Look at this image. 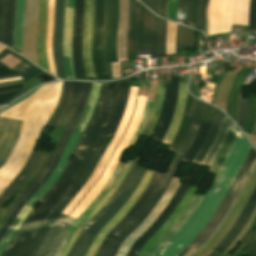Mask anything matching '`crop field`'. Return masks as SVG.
I'll use <instances>...</instances> for the list:
<instances>
[{"instance_id":"obj_3","label":"crop field","mask_w":256,"mask_h":256,"mask_svg":"<svg viewBox=\"0 0 256 256\" xmlns=\"http://www.w3.org/2000/svg\"><path fill=\"white\" fill-rule=\"evenodd\" d=\"M166 21L157 18L136 0L129 1L127 57L136 50H150V57L165 55Z\"/></svg>"},{"instance_id":"obj_49","label":"crop field","mask_w":256,"mask_h":256,"mask_svg":"<svg viewBox=\"0 0 256 256\" xmlns=\"http://www.w3.org/2000/svg\"><path fill=\"white\" fill-rule=\"evenodd\" d=\"M4 11H5V0H2V3H1V16H0V42H2V37H3Z\"/></svg>"},{"instance_id":"obj_40","label":"crop field","mask_w":256,"mask_h":256,"mask_svg":"<svg viewBox=\"0 0 256 256\" xmlns=\"http://www.w3.org/2000/svg\"><path fill=\"white\" fill-rule=\"evenodd\" d=\"M195 31L178 25L175 52L194 47Z\"/></svg>"},{"instance_id":"obj_59","label":"crop field","mask_w":256,"mask_h":256,"mask_svg":"<svg viewBox=\"0 0 256 256\" xmlns=\"http://www.w3.org/2000/svg\"><path fill=\"white\" fill-rule=\"evenodd\" d=\"M17 76H20V75L19 74H15V75L2 76V77H0V79H2V78H9V77H17Z\"/></svg>"},{"instance_id":"obj_38","label":"crop field","mask_w":256,"mask_h":256,"mask_svg":"<svg viewBox=\"0 0 256 256\" xmlns=\"http://www.w3.org/2000/svg\"><path fill=\"white\" fill-rule=\"evenodd\" d=\"M71 83L72 82H63L59 102L56 106L54 113L52 114L46 125L55 127L57 121L59 120L61 114L63 113L66 107Z\"/></svg>"},{"instance_id":"obj_57","label":"crop field","mask_w":256,"mask_h":256,"mask_svg":"<svg viewBox=\"0 0 256 256\" xmlns=\"http://www.w3.org/2000/svg\"><path fill=\"white\" fill-rule=\"evenodd\" d=\"M21 86H23V83L12 85V86H7V87H2V88H0V91L7 90V89H12V88H17V87H21Z\"/></svg>"},{"instance_id":"obj_64","label":"crop field","mask_w":256,"mask_h":256,"mask_svg":"<svg viewBox=\"0 0 256 256\" xmlns=\"http://www.w3.org/2000/svg\"><path fill=\"white\" fill-rule=\"evenodd\" d=\"M4 64L0 63V66H3Z\"/></svg>"},{"instance_id":"obj_58","label":"crop field","mask_w":256,"mask_h":256,"mask_svg":"<svg viewBox=\"0 0 256 256\" xmlns=\"http://www.w3.org/2000/svg\"><path fill=\"white\" fill-rule=\"evenodd\" d=\"M187 0H178L177 7L186 8Z\"/></svg>"},{"instance_id":"obj_47","label":"crop field","mask_w":256,"mask_h":256,"mask_svg":"<svg viewBox=\"0 0 256 256\" xmlns=\"http://www.w3.org/2000/svg\"><path fill=\"white\" fill-rule=\"evenodd\" d=\"M247 103H248V100L240 99L237 123L242 127V129L244 127V123L246 120Z\"/></svg>"},{"instance_id":"obj_50","label":"crop field","mask_w":256,"mask_h":256,"mask_svg":"<svg viewBox=\"0 0 256 256\" xmlns=\"http://www.w3.org/2000/svg\"><path fill=\"white\" fill-rule=\"evenodd\" d=\"M8 53L12 54L14 57H16V58H18V59H20V60H22V61H24V62H26V63L29 62L28 60L22 58L21 56L17 55L16 53H14V52H12V51L6 49V48L0 53V60H1L3 57H5ZM12 55H11V56H12ZM26 63H25V64H26Z\"/></svg>"},{"instance_id":"obj_21","label":"crop field","mask_w":256,"mask_h":256,"mask_svg":"<svg viewBox=\"0 0 256 256\" xmlns=\"http://www.w3.org/2000/svg\"><path fill=\"white\" fill-rule=\"evenodd\" d=\"M48 0H39V14L36 36V53L39 66L48 69L47 58L45 54V34H46V13Z\"/></svg>"},{"instance_id":"obj_51","label":"crop field","mask_w":256,"mask_h":256,"mask_svg":"<svg viewBox=\"0 0 256 256\" xmlns=\"http://www.w3.org/2000/svg\"><path fill=\"white\" fill-rule=\"evenodd\" d=\"M168 86H169V83H167L166 94H165V97H164V102H163L162 109H161V111H160V117H159L158 123H157L156 127L154 128V130L152 131V133H151L150 136H152V135L155 133V131L157 130V128H158V126H159V123H160V120H161V118H162V116H163L164 105H165V103H166V98H167Z\"/></svg>"},{"instance_id":"obj_53","label":"crop field","mask_w":256,"mask_h":256,"mask_svg":"<svg viewBox=\"0 0 256 256\" xmlns=\"http://www.w3.org/2000/svg\"><path fill=\"white\" fill-rule=\"evenodd\" d=\"M19 91H14V92H10V93L0 95V104L3 103L4 101H6L7 99H9L10 97L14 96Z\"/></svg>"},{"instance_id":"obj_56","label":"crop field","mask_w":256,"mask_h":256,"mask_svg":"<svg viewBox=\"0 0 256 256\" xmlns=\"http://www.w3.org/2000/svg\"><path fill=\"white\" fill-rule=\"evenodd\" d=\"M8 74H15L12 70L7 67L0 68V76L1 75H8Z\"/></svg>"},{"instance_id":"obj_44","label":"crop field","mask_w":256,"mask_h":256,"mask_svg":"<svg viewBox=\"0 0 256 256\" xmlns=\"http://www.w3.org/2000/svg\"><path fill=\"white\" fill-rule=\"evenodd\" d=\"M207 0H198L197 1V7H196V27H199L201 29L204 28V12L206 8ZM190 15H191V0H188L187 4V17H186V23L189 24L190 22Z\"/></svg>"},{"instance_id":"obj_7","label":"crop field","mask_w":256,"mask_h":256,"mask_svg":"<svg viewBox=\"0 0 256 256\" xmlns=\"http://www.w3.org/2000/svg\"><path fill=\"white\" fill-rule=\"evenodd\" d=\"M256 162V151L251 148L249 151L245 161L243 162L238 174L236 175L226 197L222 201L220 207L216 211L213 218L208 222V224L203 228L200 234L195 238V240L185 248L179 256H183V254L191 248H198L202 244H204L208 238L213 234L216 230L224 216L226 215L227 211L231 207L234 199L236 198L237 194L239 193L241 187L243 186L244 182L246 181L249 173L251 172L254 164Z\"/></svg>"},{"instance_id":"obj_48","label":"crop field","mask_w":256,"mask_h":256,"mask_svg":"<svg viewBox=\"0 0 256 256\" xmlns=\"http://www.w3.org/2000/svg\"><path fill=\"white\" fill-rule=\"evenodd\" d=\"M248 29H256V0H251Z\"/></svg>"},{"instance_id":"obj_24","label":"crop field","mask_w":256,"mask_h":256,"mask_svg":"<svg viewBox=\"0 0 256 256\" xmlns=\"http://www.w3.org/2000/svg\"><path fill=\"white\" fill-rule=\"evenodd\" d=\"M177 85H178V76H172L170 87H169L168 98H167V104L165 106L164 116L154 136V139L160 142L165 134L167 127L170 124V121L173 115L174 106H175L176 97H177V91H178Z\"/></svg>"},{"instance_id":"obj_5","label":"crop field","mask_w":256,"mask_h":256,"mask_svg":"<svg viewBox=\"0 0 256 256\" xmlns=\"http://www.w3.org/2000/svg\"><path fill=\"white\" fill-rule=\"evenodd\" d=\"M91 88V83H82L79 100L77 107L68 123L66 128L64 129L56 148L54 149L52 155L50 156L45 168L43 169L40 176L32 183V185L23 193L20 199L17 201L9 215L7 216L6 220L3 223L2 228L0 229V241L3 239L7 229L11 225L14 218L17 216L19 211L21 210L22 206L28 201V199L34 194V192L41 186V184L47 179V177L51 174L52 170L54 169L55 165L57 164L58 160L60 159L62 152L64 150L65 144L70 137L71 133L73 132L80 115L84 109L86 101L89 96Z\"/></svg>"},{"instance_id":"obj_28","label":"crop field","mask_w":256,"mask_h":256,"mask_svg":"<svg viewBox=\"0 0 256 256\" xmlns=\"http://www.w3.org/2000/svg\"><path fill=\"white\" fill-rule=\"evenodd\" d=\"M256 176V167L252 173V175L250 176L246 186L244 187L242 193L240 194L239 198L237 199L234 207L232 208V210L230 211V213L228 214V216L225 218V220L223 221V223L221 224V226L218 228V230L213 234V236L210 238V240L208 241V243L206 245H204L201 249H199L197 252H195L193 255L191 256H201L202 254H204L209 248L210 246L215 242V240L220 236V234L224 231V229L228 226L230 220L232 219L233 215L235 214L237 208L239 207L240 203L242 202L243 198L245 197V195L247 194L254 178Z\"/></svg>"},{"instance_id":"obj_30","label":"crop field","mask_w":256,"mask_h":256,"mask_svg":"<svg viewBox=\"0 0 256 256\" xmlns=\"http://www.w3.org/2000/svg\"><path fill=\"white\" fill-rule=\"evenodd\" d=\"M49 158V155L42 153L39 161L37 162L36 166L34 167V169L32 170V172L30 173V175L27 177V179L20 184L16 190L20 191L18 193V195L15 197V199L12 201V203L9 205V207L7 209L5 208H1L0 210V227L4 221V219L6 218V216L8 215V213L10 212V210L12 209V207L14 206V204L16 203V201L18 200V198L21 196V194L29 187V185L39 176L40 172L42 171L47 159ZM32 185V184H31ZM30 185V186H31Z\"/></svg>"},{"instance_id":"obj_9","label":"crop field","mask_w":256,"mask_h":256,"mask_svg":"<svg viewBox=\"0 0 256 256\" xmlns=\"http://www.w3.org/2000/svg\"><path fill=\"white\" fill-rule=\"evenodd\" d=\"M165 174L155 172L150 183L146 187L144 193L135 203L132 209L126 214V216L113 228V230L105 237L104 241L100 245L95 256H105L112 241L126 228V226L134 219V217L141 211L155 189L160 184Z\"/></svg>"},{"instance_id":"obj_2","label":"crop field","mask_w":256,"mask_h":256,"mask_svg":"<svg viewBox=\"0 0 256 256\" xmlns=\"http://www.w3.org/2000/svg\"><path fill=\"white\" fill-rule=\"evenodd\" d=\"M250 147V144L238 131L236 139L209 191L200 202L194 214L162 248L157 256H178L207 224L223 200Z\"/></svg>"},{"instance_id":"obj_4","label":"crop field","mask_w":256,"mask_h":256,"mask_svg":"<svg viewBox=\"0 0 256 256\" xmlns=\"http://www.w3.org/2000/svg\"><path fill=\"white\" fill-rule=\"evenodd\" d=\"M205 103L198 100L196 109L194 112L193 119L190 124L189 132L182 142L167 174L165 175L164 179L162 180L159 187L154 192L153 196L146 204V206L142 209V211L135 217V219L127 226V228L113 241L108 253L106 256H115L120 244L142 223L145 217L149 214L155 204L163 195L165 189L167 188L168 184L172 180L183 156L185 155L189 145L191 144L192 140L194 139L199 125L202 120L203 112L205 109ZM191 146V145H190Z\"/></svg>"},{"instance_id":"obj_42","label":"crop field","mask_w":256,"mask_h":256,"mask_svg":"<svg viewBox=\"0 0 256 256\" xmlns=\"http://www.w3.org/2000/svg\"><path fill=\"white\" fill-rule=\"evenodd\" d=\"M80 85H81V83L73 82L69 100L67 103V107H66L63 115L61 116L60 120L58 121L59 124L66 125V123L68 122V120L77 104Z\"/></svg>"},{"instance_id":"obj_45","label":"crop field","mask_w":256,"mask_h":256,"mask_svg":"<svg viewBox=\"0 0 256 256\" xmlns=\"http://www.w3.org/2000/svg\"><path fill=\"white\" fill-rule=\"evenodd\" d=\"M157 14L166 17L167 0H141Z\"/></svg>"},{"instance_id":"obj_6","label":"crop field","mask_w":256,"mask_h":256,"mask_svg":"<svg viewBox=\"0 0 256 256\" xmlns=\"http://www.w3.org/2000/svg\"><path fill=\"white\" fill-rule=\"evenodd\" d=\"M250 0H210L207 35L231 31V24L248 25Z\"/></svg>"},{"instance_id":"obj_8","label":"crop field","mask_w":256,"mask_h":256,"mask_svg":"<svg viewBox=\"0 0 256 256\" xmlns=\"http://www.w3.org/2000/svg\"><path fill=\"white\" fill-rule=\"evenodd\" d=\"M137 97H138V94H137ZM137 97H136V101H137ZM136 101H135V104H136ZM135 104H134V108H135ZM134 108H133V112H134ZM133 112H132V115H131V119H132V116H133ZM131 119H130V121H131ZM122 136H121V138H122ZM121 138H120V140H121ZM120 140H119V142H120ZM119 142H118V144H119ZM118 144H117V146H118ZM117 146H116V148H117ZM102 173H101V175H102ZM100 176H99V178H100ZM99 178H98V180H99ZM96 182L94 183V185L96 184ZM93 186L83 196V198L77 203V205L72 209V211H74L75 208L82 202V200L90 192V190L93 188ZM70 213L69 214L61 213L59 215V217L56 219L55 223L49 229L48 233L46 234L45 238L43 239L42 243L40 244L39 248L37 249V251L35 252V254L33 256H53L55 250L57 249L59 243L61 242L63 236L65 235L67 229L72 224V222L79 217V216H75V215H70Z\"/></svg>"},{"instance_id":"obj_36","label":"crop field","mask_w":256,"mask_h":256,"mask_svg":"<svg viewBox=\"0 0 256 256\" xmlns=\"http://www.w3.org/2000/svg\"><path fill=\"white\" fill-rule=\"evenodd\" d=\"M24 0H16L13 46L21 50L23 31Z\"/></svg>"},{"instance_id":"obj_17","label":"crop field","mask_w":256,"mask_h":256,"mask_svg":"<svg viewBox=\"0 0 256 256\" xmlns=\"http://www.w3.org/2000/svg\"><path fill=\"white\" fill-rule=\"evenodd\" d=\"M63 8L64 0H56L53 32V55L57 76L65 78V71L62 63Z\"/></svg>"},{"instance_id":"obj_34","label":"crop field","mask_w":256,"mask_h":256,"mask_svg":"<svg viewBox=\"0 0 256 256\" xmlns=\"http://www.w3.org/2000/svg\"><path fill=\"white\" fill-rule=\"evenodd\" d=\"M223 116H224V114L221 111L217 110L214 121H213L210 131L208 133V136L205 139L204 143L202 144L201 148L199 149L195 159L193 160L194 163L200 164L204 155L210 149L211 143L217 133L219 124H220Z\"/></svg>"},{"instance_id":"obj_61","label":"crop field","mask_w":256,"mask_h":256,"mask_svg":"<svg viewBox=\"0 0 256 256\" xmlns=\"http://www.w3.org/2000/svg\"><path fill=\"white\" fill-rule=\"evenodd\" d=\"M252 134L256 135V120H255V124H254V128H253Z\"/></svg>"},{"instance_id":"obj_26","label":"crop field","mask_w":256,"mask_h":256,"mask_svg":"<svg viewBox=\"0 0 256 256\" xmlns=\"http://www.w3.org/2000/svg\"><path fill=\"white\" fill-rule=\"evenodd\" d=\"M196 101H197V99H195L194 97H192L191 95L188 94V99L186 102L185 111H184L182 121L180 123L179 129H178L172 143L168 147V150L177 152L181 142L183 141L184 137L186 136V134L188 132L189 124H190V121L193 116Z\"/></svg>"},{"instance_id":"obj_63","label":"crop field","mask_w":256,"mask_h":256,"mask_svg":"<svg viewBox=\"0 0 256 256\" xmlns=\"http://www.w3.org/2000/svg\"><path fill=\"white\" fill-rule=\"evenodd\" d=\"M20 83V82H19ZM13 84H16V83H13ZM7 85H12V84H7ZM7 85H1L0 87H2V86H7Z\"/></svg>"},{"instance_id":"obj_16","label":"crop field","mask_w":256,"mask_h":256,"mask_svg":"<svg viewBox=\"0 0 256 256\" xmlns=\"http://www.w3.org/2000/svg\"><path fill=\"white\" fill-rule=\"evenodd\" d=\"M103 26V0H95V16L92 35V55L95 76H104L101 59V36Z\"/></svg>"},{"instance_id":"obj_60","label":"crop field","mask_w":256,"mask_h":256,"mask_svg":"<svg viewBox=\"0 0 256 256\" xmlns=\"http://www.w3.org/2000/svg\"><path fill=\"white\" fill-rule=\"evenodd\" d=\"M18 79H21V78L18 77V78H12V79H4V80H0V82L11 81V80H18Z\"/></svg>"},{"instance_id":"obj_22","label":"crop field","mask_w":256,"mask_h":256,"mask_svg":"<svg viewBox=\"0 0 256 256\" xmlns=\"http://www.w3.org/2000/svg\"><path fill=\"white\" fill-rule=\"evenodd\" d=\"M203 195H194L190 205L185 210V212L180 216V218L174 223V225L167 231V233L155 244V246L150 250L147 256H156L161 248L169 241V239L178 231V229L183 225V223L193 214L195 208L201 201Z\"/></svg>"},{"instance_id":"obj_13","label":"crop field","mask_w":256,"mask_h":256,"mask_svg":"<svg viewBox=\"0 0 256 256\" xmlns=\"http://www.w3.org/2000/svg\"><path fill=\"white\" fill-rule=\"evenodd\" d=\"M188 185L180 184L178 190L166 205L161 214L153 222V224L133 243L126 256H136L144 242L163 224L167 217L172 213L178 205L180 199L188 189Z\"/></svg>"},{"instance_id":"obj_43","label":"crop field","mask_w":256,"mask_h":256,"mask_svg":"<svg viewBox=\"0 0 256 256\" xmlns=\"http://www.w3.org/2000/svg\"><path fill=\"white\" fill-rule=\"evenodd\" d=\"M107 19H108V0H104V28H103V36H102V58H103L105 76L112 77L111 65H110V62H108L106 57Z\"/></svg>"},{"instance_id":"obj_11","label":"crop field","mask_w":256,"mask_h":256,"mask_svg":"<svg viewBox=\"0 0 256 256\" xmlns=\"http://www.w3.org/2000/svg\"><path fill=\"white\" fill-rule=\"evenodd\" d=\"M153 171L146 170L144 176L142 177L139 184L136 186L134 192L129 197V199L126 201V203L123 205V207L113 216V218L105 224L96 238L91 243L87 253L85 256H94L96 253L99 245L101 244L104 236L125 216V214L131 209V207L134 205V203L137 201V199L142 194L144 188L148 184L149 180L153 176Z\"/></svg>"},{"instance_id":"obj_55","label":"crop field","mask_w":256,"mask_h":256,"mask_svg":"<svg viewBox=\"0 0 256 256\" xmlns=\"http://www.w3.org/2000/svg\"><path fill=\"white\" fill-rule=\"evenodd\" d=\"M19 89H23L21 92H19L17 95H15L14 97H12L11 99L7 100L5 103L3 104H6L8 102H10L11 100H13L14 98H16L17 96H19L20 94H22L24 91H26L27 89L25 87H22V88H18V89H14V90H19ZM9 91H13V90H7V91H3V92H0L1 93H5V92H9ZM2 104V105H3Z\"/></svg>"},{"instance_id":"obj_41","label":"crop field","mask_w":256,"mask_h":256,"mask_svg":"<svg viewBox=\"0 0 256 256\" xmlns=\"http://www.w3.org/2000/svg\"><path fill=\"white\" fill-rule=\"evenodd\" d=\"M15 0H6V16L3 43L12 47Z\"/></svg>"},{"instance_id":"obj_62","label":"crop field","mask_w":256,"mask_h":256,"mask_svg":"<svg viewBox=\"0 0 256 256\" xmlns=\"http://www.w3.org/2000/svg\"><path fill=\"white\" fill-rule=\"evenodd\" d=\"M19 81H22V80L0 83V85H1V84H7V83H13V82H19Z\"/></svg>"},{"instance_id":"obj_10","label":"crop field","mask_w":256,"mask_h":256,"mask_svg":"<svg viewBox=\"0 0 256 256\" xmlns=\"http://www.w3.org/2000/svg\"><path fill=\"white\" fill-rule=\"evenodd\" d=\"M144 170V167L138 166L126 188L123 190L115 203L110 207V209L94 224L92 229L89 230L74 256H84L88 246L95 238L100 228L112 218V216L122 207L127 198L133 192Z\"/></svg>"},{"instance_id":"obj_15","label":"crop field","mask_w":256,"mask_h":256,"mask_svg":"<svg viewBox=\"0 0 256 256\" xmlns=\"http://www.w3.org/2000/svg\"><path fill=\"white\" fill-rule=\"evenodd\" d=\"M197 188L190 186L186 194L181 199L179 205L173 211V213L168 217L165 223L161 226V228L154 233L143 245L140 252L137 256H146L148 251L153 247V245L166 233V231L173 225V223L179 218V216L183 213V211L188 206L191 198L195 194Z\"/></svg>"},{"instance_id":"obj_39","label":"crop field","mask_w":256,"mask_h":256,"mask_svg":"<svg viewBox=\"0 0 256 256\" xmlns=\"http://www.w3.org/2000/svg\"><path fill=\"white\" fill-rule=\"evenodd\" d=\"M237 128L231 124V127H230V130H229V133L227 135V138L225 140V142L223 143V145L221 146L216 158L214 159L209 171H213V172H217L224 157L226 156L235 136H236V133H237Z\"/></svg>"},{"instance_id":"obj_25","label":"crop field","mask_w":256,"mask_h":256,"mask_svg":"<svg viewBox=\"0 0 256 256\" xmlns=\"http://www.w3.org/2000/svg\"><path fill=\"white\" fill-rule=\"evenodd\" d=\"M252 195V194H251ZM251 197V196H250ZM256 206V189L246 204L241 216L236 222L235 226L230 230V232L226 235V237L221 241V243L214 249V251L222 253L223 250L227 247V245L232 241V239L238 234V232L243 228L246 224L249 216L251 215L254 207Z\"/></svg>"},{"instance_id":"obj_20","label":"crop field","mask_w":256,"mask_h":256,"mask_svg":"<svg viewBox=\"0 0 256 256\" xmlns=\"http://www.w3.org/2000/svg\"><path fill=\"white\" fill-rule=\"evenodd\" d=\"M74 0H67V9H73ZM73 10H66V0L64 9V29H63V55H70V64L73 75L72 56H71V34H72ZM63 63L66 77L71 76L69 56H63ZM74 79V75L73 78Z\"/></svg>"},{"instance_id":"obj_32","label":"crop field","mask_w":256,"mask_h":256,"mask_svg":"<svg viewBox=\"0 0 256 256\" xmlns=\"http://www.w3.org/2000/svg\"><path fill=\"white\" fill-rule=\"evenodd\" d=\"M230 124H231L230 120L226 116H224L223 121L219 127L217 136L214 140V143H213L211 149L207 152L206 156L204 157V159L201 163L202 165L210 167L220 146L222 145V143L224 142V140L226 138Z\"/></svg>"},{"instance_id":"obj_54","label":"crop field","mask_w":256,"mask_h":256,"mask_svg":"<svg viewBox=\"0 0 256 256\" xmlns=\"http://www.w3.org/2000/svg\"><path fill=\"white\" fill-rule=\"evenodd\" d=\"M196 1L197 0H192V15H191V22L190 24L194 26L195 23V7H196Z\"/></svg>"},{"instance_id":"obj_35","label":"crop field","mask_w":256,"mask_h":256,"mask_svg":"<svg viewBox=\"0 0 256 256\" xmlns=\"http://www.w3.org/2000/svg\"><path fill=\"white\" fill-rule=\"evenodd\" d=\"M54 3H55V0H49L46 51H47V56H48L50 72L52 74L56 75L55 65H54L53 57H52V32H53V18H54Z\"/></svg>"},{"instance_id":"obj_31","label":"crop field","mask_w":256,"mask_h":256,"mask_svg":"<svg viewBox=\"0 0 256 256\" xmlns=\"http://www.w3.org/2000/svg\"><path fill=\"white\" fill-rule=\"evenodd\" d=\"M41 152L33 151L30 158L28 159L27 163L17 175V177L9 184V186L4 190V192L0 196V208L7 200V198L11 195V193L15 190V188L22 183L28 174L33 169L34 165L36 164Z\"/></svg>"},{"instance_id":"obj_27","label":"crop field","mask_w":256,"mask_h":256,"mask_svg":"<svg viewBox=\"0 0 256 256\" xmlns=\"http://www.w3.org/2000/svg\"><path fill=\"white\" fill-rule=\"evenodd\" d=\"M132 160H127L122 171L118 175L113 187L110 189V191L105 195V197L100 201V203L96 206V208L90 213V215L77 227V229L74 231L66 249L61 254V256H65L68 250L70 249L71 245L73 244L74 240L78 236L81 229L99 212V210L103 207V205L107 202V200L110 198V196L113 194L115 189L118 187V185L121 183L127 169L129 168Z\"/></svg>"},{"instance_id":"obj_19","label":"crop field","mask_w":256,"mask_h":256,"mask_svg":"<svg viewBox=\"0 0 256 256\" xmlns=\"http://www.w3.org/2000/svg\"><path fill=\"white\" fill-rule=\"evenodd\" d=\"M141 159H138V156L134 159L132 162L124 180L119 185V187L116 189L114 194L111 196V198L108 200V202L104 205V207L100 210V212L82 229L79 236L77 237L72 249L68 253L67 256H73L75 251L77 250L78 246L80 245L81 241L83 240L84 236L88 232L89 229L93 226V224L109 209V207L114 203V201L117 199V197L120 195L124 187L129 182L131 176L133 175L137 165L139 164Z\"/></svg>"},{"instance_id":"obj_12","label":"crop field","mask_w":256,"mask_h":256,"mask_svg":"<svg viewBox=\"0 0 256 256\" xmlns=\"http://www.w3.org/2000/svg\"><path fill=\"white\" fill-rule=\"evenodd\" d=\"M83 6L84 0H75L72 35V56L75 78H85L82 62Z\"/></svg>"},{"instance_id":"obj_18","label":"crop field","mask_w":256,"mask_h":256,"mask_svg":"<svg viewBox=\"0 0 256 256\" xmlns=\"http://www.w3.org/2000/svg\"><path fill=\"white\" fill-rule=\"evenodd\" d=\"M94 15V0H85L84 6V38H83V61L86 78L94 76L91 56V34Z\"/></svg>"},{"instance_id":"obj_33","label":"crop field","mask_w":256,"mask_h":256,"mask_svg":"<svg viewBox=\"0 0 256 256\" xmlns=\"http://www.w3.org/2000/svg\"><path fill=\"white\" fill-rule=\"evenodd\" d=\"M164 90H165V88L162 86V82L157 81L156 97L154 100V104H153L147 125L141 134L143 136L149 137L151 131L153 130V128L157 122L159 111H160V108H161V105L163 102Z\"/></svg>"},{"instance_id":"obj_14","label":"crop field","mask_w":256,"mask_h":256,"mask_svg":"<svg viewBox=\"0 0 256 256\" xmlns=\"http://www.w3.org/2000/svg\"><path fill=\"white\" fill-rule=\"evenodd\" d=\"M22 121L0 118V167L7 161L20 132Z\"/></svg>"},{"instance_id":"obj_29","label":"crop field","mask_w":256,"mask_h":256,"mask_svg":"<svg viewBox=\"0 0 256 256\" xmlns=\"http://www.w3.org/2000/svg\"><path fill=\"white\" fill-rule=\"evenodd\" d=\"M186 98H187L186 83L179 84V91H178V97H177V102L175 106V112H174L171 124L162 140L163 143L170 144L171 140L173 139L178 129L179 123L181 121Z\"/></svg>"},{"instance_id":"obj_46","label":"crop field","mask_w":256,"mask_h":256,"mask_svg":"<svg viewBox=\"0 0 256 256\" xmlns=\"http://www.w3.org/2000/svg\"><path fill=\"white\" fill-rule=\"evenodd\" d=\"M41 71L42 70L35 67L33 64H31L29 62L26 65H24L23 67H21L20 69H18L16 72H18L22 76L23 81L25 82V81H27L28 79H30L31 77H33L34 75L38 74Z\"/></svg>"},{"instance_id":"obj_52","label":"crop field","mask_w":256,"mask_h":256,"mask_svg":"<svg viewBox=\"0 0 256 256\" xmlns=\"http://www.w3.org/2000/svg\"><path fill=\"white\" fill-rule=\"evenodd\" d=\"M244 256H256V240L252 243L249 249L245 252Z\"/></svg>"},{"instance_id":"obj_37","label":"crop field","mask_w":256,"mask_h":256,"mask_svg":"<svg viewBox=\"0 0 256 256\" xmlns=\"http://www.w3.org/2000/svg\"><path fill=\"white\" fill-rule=\"evenodd\" d=\"M211 122L202 121L201 126L199 128L198 134L195 137L194 141L192 142L191 146L189 147L183 162L190 164L193 157L195 156L196 152L198 151L199 147L201 146L202 142L204 141L208 130L210 128Z\"/></svg>"},{"instance_id":"obj_1","label":"crop field","mask_w":256,"mask_h":256,"mask_svg":"<svg viewBox=\"0 0 256 256\" xmlns=\"http://www.w3.org/2000/svg\"><path fill=\"white\" fill-rule=\"evenodd\" d=\"M94 84L91 99L87 101L85 106L84 114L77 125L75 131L73 132L67 146L65 152L59 161L58 165L49 176V178L43 183V185L37 190V192L30 198V200L26 203L25 206L33 208L35 204L45 195V193L50 189V187L55 183L61 174L62 170L66 166L69 157L74 150L78 140L80 139L84 128L86 127L94 109L98 101L101 84ZM128 81H119L109 85H102L101 93L98 101V105L95 109V112L87 125L81 139L79 140L73 154H75V159H71L65 167L64 171L60 175L59 179L56 183L51 187V189L46 193V195L40 200V202L44 203L38 210L33 209L34 211L52 216L57 218L59 213L66 207L67 203L71 201V199L77 194V192L81 189L84 183L87 181L89 176L91 175L93 169L99 162L104 150L106 149L105 145L108 138H101V136H109L114 134L119 121L121 119L122 113L125 107H108V108H100L103 95L105 90L112 89H129ZM129 90H113L106 91L104 100L101 107L107 106H125L127 101ZM91 103L90 104H88ZM90 105V108H89ZM89 108V111H88ZM88 111V114H87ZM87 114L86 119L84 120ZM84 120V122H83ZM83 122V124H82ZM82 124V127H80ZM88 148L94 150L83 149ZM65 202H62V201ZM55 199V200H54ZM54 200V202H53ZM53 202V203H52ZM52 203V204H51ZM51 204V205H50ZM50 205V206H49ZM23 207L18 217L21 218L20 221L16 218L12 225L10 226L6 236L0 243V256L3 254L5 248L14 238L18 229L20 228L23 220L27 217V215L32 210L28 207ZM49 206V208H48ZM52 210L48 211L46 210ZM42 215L36 212H31L30 215L26 218V221L39 224L45 227L50 228L52 223L55 221V218ZM19 221V222H18ZM23 222L22 227L18 231L15 238L7 247L6 251L2 256H32L36 251L38 245L40 244L42 238L48 231V228L35 225L29 222ZM18 222V224H17ZM17 224V225H16ZM16 225L17 228H14Z\"/></svg>"},{"instance_id":"obj_23","label":"crop field","mask_w":256,"mask_h":256,"mask_svg":"<svg viewBox=\"0 0 256 256\" xmlns=\"http://www.w3.org/2000/svg\"><path fill=\"white\" fill-rule=\"evenodd\" d=\"M118 21V0H109V20L107 28V57L109 61L117 62L116 58V28Z\"/></svg>"}]
</instances>
